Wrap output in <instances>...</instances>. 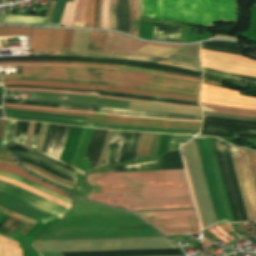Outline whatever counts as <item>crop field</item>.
I'll use <instances>...</instances> for the list:
<instances>
[{
    "label": "crop field",
    "mask_w": 256,
    "mask_h": 256,
    "mask_svg": "<svg viewBox=\"0 0 256 256\" xmlns=\"http://www.w3.org/2000/svg\"><path fill=\"white\" fill-rule=\"evenodd\" d=\"M87 199L129 211L194 207L184 169L99 173Z\"/></svg>",
    "instance_id": "obj_1"
},
{
    "label": "crop field",
    "mask_w": 256,
    "mask_h": 256,
    "mask_svg": "<svg viewBox=\"0 0 256 256\" xmlns=\"http://www.w3.org/2000/svg\"><path fill=\"white\" fill-rule=\"evenodd\" d=\"M23 74L0 75L1 80L24 79L56 82L106 84L140 90L198 97L201 83L104 69L22 66Z\"/></svg>",
    "instance_id": "obj_2"
},
{
    "label": "crop field",
    "mask_w": 256,
    "mask_h": 256,
    "mask_svg": "<svg viewBox=\"0 0 256 256\" xmlns=\"http://www.w3.org/2000/svg\"><path fill=\"white\" fill-rule=\"evenodd\" d=\"M141 17L211 26L238 22L237 0H139Z\"/></svg>",
    "instance_id": "obj_3"
},
{
    "label": "crop field",
    "mask_w": 256,
    "mask_h": 256,
    "mask_svg": "<svg viewBox=\"0 0 256 256\" xmlns=\"http://www.w3.org/2000/svg\"><path fill=\"white\" fill-rule=\"evenodd\" d=\"M40 252L178 248L165 237L35 241Z\"/></svg>",
    "instance_id": "obj_4"
},
{
    "label": "crop field",
    "mask_w": 256,
    "mask_h": 256,
    "mask_svg": "<svg viewBox=\"0 0 256 256\" xmlns=\"http://www.w3.org/2000/svg\"><path fill=\"white\" fill-rule=\"evenodd\" d=\"M7 118L34 120L50 123L69 124L96 127L103 129L113 130H127V131H148V132H164V133H177V134H197L198 130H186V129H164V128H147V127H133L123 125L101 124L95 122H87L88 117L83 116H71L41 112H31L23 110H15L4 108Z\"/></svg>",
    "instance_id": "obj_5"
},
{
    "label": "crop field",
    "mask_w": 256,
    "mask_h": 256,
    "mask_svg": "<svg viewBox=\"0 0 256 256\" xmlns=\"http://www.w3.org/2000/svg\"><path fill=\"white\" fill-rule=\"evenodd\" d=\"M146 45L174 49V50H177L181 46V45H165V44L147 43L140 40H136L127 35H120L114 32H108L104 52L146 55V54H143ZM174 52L175 51L173 50L147 46L144 53L165 56V57H168L167 58L168 60L200 66L199 60L171 55ZM148 56H152V55H148Z\"/></svg>",
    "instance_id": "obj_6"
},
{
    "label": "crop field",
    "mask_w": 256,
    "mask_h": 256,
    "mask_svg": "<svg viewBox=\"0 0 256 256\" xmlns=\"http://www.w3.org/2000/svg\"><path fill=\"white\" fill-rule=\"evenodd\" d=\"M181 148L200 212L203 227L205 228L215 223L216 221L199 162L194 139L181 146Z\"/></svg>",
    "instance_id": "obj_7"
},
{
    "label": "crop field",
    "mask_w": 256,
    "mask_h": 256,
    "mask_svg": "<svg viewBox=\"0 0 256 256\" xmlns=\"http://www.w3.org/2000/svg\"><path fill=\"white\" fill-rule=\"evenodd\" d=\"M229 145V144H228ZM249 220H256V187L246 150L229 145Z\"/></svg>",
    "instance_id": "obj_8"
},
{
    "label": "crop field",
    "mask_w": 256,
    "mask_h": 256,
    "mask_svg": "<svg viewBox=\"0 0 256 256\" xmlns=\"http://www.w3.org/2000/svg\"><path fill=\"white\" fill-rule=\"evenodd\" d=\"M200 60L204 68L256 76V60L203 49L200 50Z\"/></svg>",
    "instance_id": "obj_9"
},
{
    "label": "crop field",
    "mask_w": 256,
    "mask_h": 256,
    "mask_svg": "<svg viewBox=\"0 0 256 256\" xmlns=\"http://www.w3.org/2000/svg\"><path fill=\"white\" fill-rule=\"evenodd\" d=\"M217 221H228L205 137H194Z\"/></svg>",
    "instance_id": "obj_10"
},
{
    "label": "crop field",
    "mask_w": 256,
    "mask_h": 256,
    "mask_svg": "<svg viewBox=\"0 0 256 256\" xmlns=\"http://www.w3.org/2000/svg\"><path fill=\"white\" fill-rule=\"evenodd\" d=\"M0 194L6 197L12 198L14 200H17L29 207H32L45 214L54 216L58 219H61L69 211V209L67 208H64L60 205H57L53 202H50L46 199L36 196L14 185L4 183L1 181H0Z\"/></svg>",
    "instance_id": "obj_11"
},
{
    "label": "crop field",
    "mask_w": 256,
    "mask_h": 256,
    "mask_svg": "<svg viewBox=\"0 0 256 256\" xmlns=\"http://www.w3.org/2000/svg\"><path fill=\"white\" fill-rule=\"evenodd\" d=\"M5 107L43 111V112H52V113H61V114L83 115V116H89L88 121L133 125V126L199 129L201 124V123L167 122V121H157V120H147V119H137V118L114 117V116H104V115L85 114V113L46 111V110H36V109L9 107V106H5Z\"/></svg>",
    "instance_id": "obj_12"
},
{
    "label": "crop field",
    "mask_w": 256,
    "mask_h": 256,
    "mask_svg": "<svg viewBox=\"0 0 256 256\" xmlns=\"http://www.w3.org/2000/svg\"><path fill=\"white\" fill-rule=\"evenodd\" d=\"M200 102L256 109V98L239 96V92L202 84Z\"/></svg>",
    "instance_id": "obj_13"
},
{
    "label": "crop field",
    "mask_w": 256,
    "mask_h": 256,
    "mask_svg": "<svg viewBox=\"0 0 256 256\" xmlns=\"http://www.w3.org/2000/svg\"><path fill=\"white\" fill-rule=\"evenodd\" d=\"M165 235L200 233L196 215L143 217Z\"/></svg>",
    "instance_id": "obj_14"
},
{
    "label": "crop field",
    "mask_w": 256,
    "mask_h": 256,
    "mask_svg": "<svg viewBox=\"0 0 256 256\" xmlns=\"http://www.w3.org/2000/svg\"><path fill=\"white\" fill-rule=\"evenodd\" d=\"M2 82L4 85L25 84V85H34V86H57V87H68V88H78V89L109 90V91H119V92L139 94V95H149V96L165 97V98L180 99V100L198 101V98H195V97L158 93V92H149V91H140V90H133L128 88L113 87V86H97V85H85V84H73V83H55V82H36V81H24V80H6Z\"/></svg>",
    "instance_id": "obj_15"
},
{
    "label": "crop field",
    "mask_w": 256,
    "mask_h": 256,
    "mask_svg": "<svg viewBox=\"0 0 256 256\" xmlns=\"http://www.w3.org/2000/svg\"><path fill=\"white\" fill-rule=\"evenodd\" d=\"M60 55H73V56H86V57H108V58H122V59H129V60H140V61H150L156 62L161 64H166L170 66H175L184 69H190L201 72L200 67L163 60L159 58L153 57H145V56H138V55H126V54H107V53H95V52H78V51H60Z\"/></svg>",
    "instance_id": "obj_16"
},
{
    "label": "crop field",
    "mask_w": 256,
    "mask_h": 256,
    "mask_svg": "<svg viewBox=\"0 0 256 256\" xmlns=\"http://www.w3.org/2000/svg\"><path fill=\"white\" fill-rule=\"evenodd\" d=\"M0 205L8 208V209H11L13 211H16L20 214H23L25 216H28L32 219H35L39 222H46L50 219H52L53 217L51 216H48V215H45L43 213H40L36 210H33L17 201H14V200H11L9 198H6V197H3L0 195Z\"/></svg>",
    "instance_id": "obj_17"
},
{
    "label": "crop field",
    "mask_w": 256,
    "mask_h": 256,
    "mask_svg": "<svg viewBox=\"0 0 256 256\" xmlns=\"http://www.w3.org/2000/svg\"><path fill=\"white\" fill-rule=\"evenodd\" d=\"M53 29L32 28L29 50H49Z\"/></svg>",
    "instance_id": "obj_18"
},
{
    "label": "crop field",
    "mask_w": 256,
    "mask_h": 256,
    "mask_svg": "<svg viewBox=\"0 0 256 256\" xmlns=\"http://www.w3.org/2000/svg\"><path fill=\"white\" fill-rule=\"evenodd\" d=\"M0 171H3V172H7V173H11V174H15V175H19V176H22L38 185H41L45 188H48L56 193H59L61 195H64L66 197H69L71 199H73V197L63 193V191L53 187V186H50L34 177H32L31 175H29L28 173H26L21 167H18V166H14V165H8V164H2L0 163Z\"/></svg>",
    "instance_id": "obj_19"
},
{
    "label": "crop field",
    "mask_w": 256,
    "mask_h": 256,
    "mask_svg": "<svg viewBox=\"0 0 256 256\" xmlns=\"http://www.w3.org/2000/svg\"><path fill=\"white\" fill-rule=\"evenodd\" d=\"M5 90L41 91V92H57V93H69V94L91 95V96H97V98H108V99H117V100H125V101L141 102V103H149V104H158V105H167V106H175V107H184V108L201 109L200 107H194V106H183V105H174V104L147 102V101H139V100H130V99L103 97V96H98L97 93H82V92L60 91V90H47V89H32V88H5Z\"/></svg>",
    "instance_id": "obj_20"
},
{
    "label": "crop field",
    "mask_w": 256,
    "mask_h": 256,
    "mask_svg": "<svg viewBox=\"0 0 256 256\" xmlns=\"http://www.w3.org/2000/svg\"><path fill=\"white\" fill-rule=\"evenodd\" d=\"M200 104L203 108V111H206V112L226 113V114H234V115H240V116L256 117V110L237 109V108L216 106V105L203 104V103H200Z\"/></svg>",
    "instance_id": "obj_21"
},
{
    "label": "crop field",
    "mask_w": 256,
    "mask_h": 256,
    "mask_svg": "<svg viewBox=\"0 0 256 256\" xmlns=\"http://www.w3.org/2000/svg\"><path fill=\"white\" fill-rule=\"evenodd\" d=\"M116 18H117V30L128 32V25H129V1L128 0H118Z\"/></svg>",
    "instance_id": "obj_22"
},
{
    "label": "crop field",
    "mask_w": 256,
    "mask_h": 256,
    "mask_svg": "<svg viewBox=\"0 0 256 256\" xmlns=\"http://www.w3.org/2000/svg\"><path fill=\"white\" fill-rule=\"evenodd\" d=\"M3 105H9V104H3ZM9 106H19V107H28V108H36V109L58 110V111L85 112V113H95V114L114 115V116H125V117H137V118L168 120V121H187V122H201L202 121V120H178V119H167V118H155V117L133 116V115H123V114H115V113L84 111V110H69V109L48 108V107H35V106H22V105H9Z\"/></svg>",
    "instance_id": "obj_23"
},
{
    "label": "crop field",
    "mask_w": 256,
    "mask_h": 256,
    "mask_svg": "<svg viewBox=\"0 0 256 256\" xmlns=\"http://www.w3.org/2000/svg\"><path fill=\"white\" fill-rule=\"evenodd\" d=\"M46 19L35 16L4 15L0 21L14 24L45 25Z\"/></svg>",
    "instance_id": "obj_24"
},
{
    "label": "crop field",
    "mask_w": 256,
    "mask_h": 256,
    "mask_svg": "<svg viewBox=\"0 0 256 256\" xmlns=\"http://www.w3.org/2000/svg\"><path fill=\"white\" fill-rule=\"evenodd\" d=\"M3 63H30V62H3ZM31 63H74V64H86V65H99V66H110V67L127 68V66H122V65L100 64V63H86V62H72V61H31ZM128 68L137 69V70H143V71L156 72V73H162V74H171V75L185 76V77L195 78V79H199V80L202 79V78H199V77L181 75V74H176V73H171V72L155 71V70L133 68V67H128Z\"/></svg>",
    "instance_id": "obj_25"
},
{
    "label": "crop field",
    "mask_w": 256,
    "mask_h": 256,
    "mask_svg": "<svg viewBox=\"0 0 256 256\" xmlns=\"http://www.w3.org/2000/svg\"><path fill=\"white\" fill-rule=\"evenodd\" d=\"M0 256H22L18 243L0 235Z\"/></svg>",
    "instance_id": "obj_26"
},
{
    "label": "crop field",
    "mask_w": 256,
    "mask_h": 256,
    "mask_svg": "<svg viewBox=\"0 0 256 256\" xmlns=\"http://www.w3.org/2000/svg\"><path fill=\"white\" fill-rule=\"evenodd\" d=\"M154 135L141 134L136 152V159L150 158Z\"/></svg>",
    "instance_id": "obj_27"
},
{
    "label": "crop field",
    "mask_w": 256,
    "mask_h": 256,
    "mask_svg": "<svg viewBox=\"0 0 256 256\" xmlns=\"http://www.w3.org/2000/svg\"><path fill=\"white\" fill-rule=\"evenodd\" d=\"M106 33L105 31L91 30L87 51L103 52Z\"/></svg>",
    "instance_id": "obj_28"
},
{
    "label": "crop field",
    "mask_w": 256,
    "mask_h": 256,
    "mask_svg": "<svg viewBox=\"0 0 256 256\" xmlns=\"http://www.w3.org/2000/svg\"><path fill=\"white\" fill-rule=\"evenodd\" d=\"M98 0H89L86 10V27L97 28Z\"/></svg>",
    "instance_id": "obj_29"
},
{
    "label": "crop field",
    "mask_w": 256,
    "mask_h": 256,
    "mask_svg": "<svg viewBox=\"0 0 256 256\" xmlns=\"http://www.w3.org/2000/svg\"><path fill=\"white\" fill-rule=\"evenodd\" d=\"M11 152L14 155H17V156H22V157L31 158V159H35L37 161H40V162L46 164L47 166H49V167H51V168H53V169H55V170H57V171H59L63 174H66V175H69V176H72V177H75V178L77 177V174H75V173H73V172H71L67 169H64V168H62V167L44 159V158L38 157V156L33 155V154H28V153H20V152H13V151H11Z\"/></svg>",
    "instance_id": "obj_30"
},
{
    "label": "crop field",
    "mask_w": 256,
    "mask_h": 256,
    "mask_svg": "<svg viewBox=\"0 0 256 256\" xmlns=\"http://www.w3.org/2000/svg\"><path fill=\"white\" fill-rule=\"evenodd\" d=\"M0 180L6 181V182L11 183V184H14V185H16V186H18V187H21V188H24V189H26V190H29V191H31V192H33V193H35V194H37V195H39V196H41V197H44V198H46V199H49V200H51V201H53V202H56V203H58V204H61V205H63V206H66V207H68V208H71V206H72V205L69 204V203H66V202H64V201L58 200V199L53 198V197H51V196H49V195H46V194H44V193H42V192H40V191H37V190H35V189H33V188H30V187L26 186V185H24V184H22V183H20V182H18V181H15V180H12V179H9V178H5V177H1V176H0Z\"/></svg>",
    "instance_id": "obj_31"
},
{
    "label": "crop field",
    "mask_w": 256,
    "mask_h": 256,
    "mask_svg": "<svg viewBox=\"0 0 256 256\" xmlns=\"http://www.w3.org/2000/svg\"><path fill=\"white\" fill-rule=\"evenodd\" d=\"M0 175H1V176H5V177H9V178H12V179H15V180H18V181H21V182H23V183H25V184H27V185H29V186H31V187L37 189V190H40V191H42V192H44V193H46V194H49V195H51V196H53V197L59 198V199H61V200H64V201H66V202H69V203H71V204L73 203L72 200H70V199H68V198H65V197H63V196H61V195H59V194H56V193H54V192H52V191H50V190H48V189H45V188H43V187H40V186H38V185H36V184H33V183H31V182H29V181H27V180H25V179H23V178H21V177L14 176V175H10V174H6V173H2V172H0Z\"/></svg>",
    "instance_id": "obj_32"
},
{
    "label": "crop field",
    "mask_w": 256,
    "mask_h": 256,
    "mask_svg": "<svg viewBox=\"0 0 256 256\" xmlns=\"http://www.w3.org/2000/svg\"><path fill=\"white\" fill-rule=\"evenodd\" d=\"M87 0H78L72 26L85 27V10Z\"/></svg>",
    "instance_id": "obj_33"
},
{
    "label": "crop field",
    "mask_w": 256,
    "mask_h": 256,
    "mask_svg": "<svg viewBox=\"0 0 256 256\" xmlns=\"http://www.w3.org/2000/svg\"><path fill=\"white\" fill-rule=\"evenodd\" d=\"M7 65H44V64H0V66H7ZM45 65H61V66L91 67V68H104V69L124 70V71H132V72L147 74V75H159V76H166V77H174V78H182V79H188V80H193V81H199V80H194V79H190V78H184V77H178V76H170V75H162V74L149 73V72L136 71V70H128V69L107 68V67H98V66H83V65H64V64H45ZM199 82H201V81H199Z\"/></svg>",
    "instance_id": "obj_34"
},
{
    "label": "crop field",
    "mask_w": 256,
    "mask_h": 256,
    "mask_svg": "<svg viewBox=\"0 0 256 256\" xmlns=\"http://www.w3.org/2000/svg\"><path fill=\"white\" fill-rule=\"evenodd\" d=\"M140 216L196 214L194 209L135 212ZM136 214V215H137Z\"/></svg>",
    "instance_id": "obj_35"
},
{
    "label": "crop field",
    "mask_w": 256,
    "mask_h": 256,
    "mask_svg": "<svg viewBox=\"0 0 256 256\" xmlns=\"http://www.w3.org/2000/svg\"><path fill=\"white\" fill-rule=\"evenodd\" d=\"M31 27H0L1 36L30 35Z\"/></svg>",
    "instance_id": "obj_36"
},
{
    "label": "crop field",
    "mask_w": 256,
    "mask_h": 256,
    "mask_svg": "<svg viewBox=\"0 0 256 256\" xmlns=\"http://www.w3.org/2000/svg\"><path fill=\"white\" fill-rule=\"evenodd\" d=\"M65 29H54L50 50H62Z\"/></svg>",
    "instance_id": "obj_37"
},
{
    "label": "crop field",
    "mask_w": 256,
    "mask_h": 256,
    "mask_svg": "<svg viewBox=\"0 0 256 256\" xmlns=\"http://www.w3.org/2000/svg\"><path fill=\"white\" fill-rule=\"evenodd\" d=\"M66 1L73 2V0H57V4H56L55 11H54L50 25H55V26L60 25V21L62 18Z\"/></svg>",
    "instance_id": "obj_38"
},
{
    "label": "crop field",
    "mask_w": 256,
    "mask_h": 256,
    "mask_svg": "<svg viewBox=\"0 0 256 256\" xmlns=\"http://www.w3.org/2000/svg\"><path fill=\"white\" fill-rule=\"evenodd\" d=\"M213 235L217 236L221 240L225 242H230L234 240L232 237H230L228 234H226L217 224L207 228Z\"/></svg>",
    "instance_id": "obj_39"
},
{
    "label": "crop field",
    "mask_w": 256,
    "mask_h": 256,
    "mask_svg": "<svg viewBox=\"0 0 256 256\" xmlns=\"http://www.w3.org/2000/svg\"><path fill=\"white\" fill-rule=\"evenodd\" d=\"M0 212L5 214V215L14 217V218H16L18 220L25 221V222H27L29 224H32V225H35L37 223L36 221H34L32 219H29V218H27V217H25L23 215H20V214L15 213V212H13L11 210H8V209H6V208H4L2 206H0Z\"/></svg>",
    "instance_id": "obj_40"
},
{
    "label": "crop field",
    "mask_w": 256,
    "mask_h": 256,
    "mask_svg": "<svg viewBox=\"0 0 256 256\" xmlns=\"http://www.w3.org/2000/svg\"><path fill=\"white\" fill-rule=\"evenodd\" d=\"M116 3H117V0H111L110 9H109L110 29H115V30H116V21H115Z\"/></svg>",
    "instance_id": "obj_41"
},
{
    "label": "crop field",
    "mask_w": 256,
    "mask_h": 256,
    "mask_svg": "<svg viewBox=\"0 0 256 256\" xmlns=\"http://www.w3.org/2000/svg\"><path fill=\"white\" fill-rule=\"evenodd\" d=\"M110 0L103 1V8H102V28L109 29L108 25V9H109Z\"/></svg>",
    "instance_id": "obj_42"
},
{
    "label": "crop field",
    "mask_w": 256,
    "mask_h": 256,
    "mask_svg": "<svg viewBox=\"0 0 256 256\" xmlns=\"http://www.w3.org/2000/svg\"><path fill=\"white\" fill-rule=\"evenodd\" d=\"M134 9H135V26H134V35H138L139 24H140V13H139V6L138 0H134Z\"/></svg>",
    "instance_id": "obj_43"
},
{
    "label": "crop field",
    "mask_w": 256,
    "mask_h": 256,
    "mask_svg": "<svg viewBox=\"0 0 256 256\" xmlns=\"http://www.w3.org/2000/svg\"><path fill=\"white\" fill-rule=\"evenodd\" d=\"M74 30L66 29L63 50H70Z\"/></svg>",
    "instance_id": "obj_44"
},
{
    "label": "crop field",
    "mask_w": 256,
    "mask_h": 256,
    "mask_svg": "<svg viewBox=\"0 0 256 256\" xmlns=\"http://www.w3.org/2000/svg\"><path fill=\"white\" fill-rule=\"evenodd\" d=\"M192 136L170 135L169 142L185 143Z\"/></svg>",
    "instance_id": "obj_45"
},
{
    "label": "crop field",
    "mask_w": 256,
    "mask_h": 256,
    "mask_svg": "<svg viewBox=\"0 0 256 256\" xmlns=\"http://www.w3.org/2000/svg\"><path fill=\"white\" fill-rule=\"evenodd\" d=\"M130 1V28L129 34L133 35V25H134V9H133V0Z\"/></svg>",
    "instance_id": "obj_46"
},
{
    "label": "crop field",
    "mask_w": 256,
    "mask_h": 256,
    "mask_svg": "<svg viewBox=\"0 0 256 256\" xmlns=\"http://www.w3.org/2000/svg\"><path fill=\"white\" fill-rule=\"evenodd\" d=\"M249 154H250L253 170H254L255 177H256V152L249 150Z\"/></svg>",
    "instance_id": "obj_47"
},
{
    "label": "crop field",
    "mask_w": 256,
    "mask_h": 256,
    "mask_svg": "<svg viewBox=\"0 0 256 256\" xmlns=\"http://www.w3.org/2000/svg\"><path fill=\"white\" fill-rule=\"evenodd\" d=\"M6 119H0V143L2 144V136L4 132V126H5Z\"/></svg>",
    "instance_id": "obj_48"
},
{
    "label": "crop field",
    "mask_w": 256,
    "mask_h": 256,
    "mask_svg": "<svg viewBox=\"0 0 256 256\" xmlns=\"http://www.w3.org/2000/svg\"><path fill=\"white\" fill-rule=\"evenodd\" d=\"M76 3H77V0H74L73 8H72L71 15H70V18L68 20L67 26H71L73 15H74V11H75V7H76Z\"/></svg>",
    "instance_id": "obj_49"
},
{
    "label": "crop field",
    "mask_w": 256,
    "mask_h": 256,
    "mask_svg": "<svg viewBox=\"0 0 256 256\" xmlns=\"http://www.w3.org/2000/svg\"><path fill=\"white\" fill-rule=\"evenodd\" d=\"M21 163H22V162H21ZM22 164L29 165V166H31V167H33V168H36V169H38V170H41V169H39V168H37V167L31 165V164H27V163H22ZM41 171H43V170H41ZM43 172H45V171H43ZM45 173H47V172H45ZM47 174L50 175V176H52V177H54V178H56V179H58V180L68 182V181H66V180L57 178V177H55V176H53V175H51V174H49V173H47ZM68 183H71V182H68ZM71 184H74V183H71ZM75 185L80 186V185H78V184H75Z\"/></svg>",
    "instance_id": "obj_50"
},
{
    "label": "crop field",
    "mask_w": 256,
    "mask_h": 256,
    "mask_svg": "<svg viewBox=\"0 0 256 256\" xmlns=\"http://www.w3.org/2000/svg\"><path fill=\"white\" fill-rule=\"evenodd\" d=\"M102 1L103 0H99L98 28H101V7H102Z\"/></svg>",
    "instance_id": "obj_51"
},
{
    "label": "crop field",
    "mask_w": 256,
    "mask_h": 256,
    "mask_svg": "<svg viewBox=\"0 0 256 256\" xmlns=\"http://www.w3.org/2000/svg\"><path fill=\"white\" fill-rule=\"evenodd\" d=\"M0 158L14 160L6 151L0 150Z\"/></svg>",
    "instance_id": "obj_52"
},
{
    "label": "crop field",
    "mask_w": 256,
    "mask_h": 256,
    "mask_svg": "<svg viewBox=\"0 0 256 256\" xmlns=\"http://www.w3.org/2000/svg\"><path fill=\"white\" fill-rule=\"evenodd\" d=\"M238 225L240 226V228L242 229V231L248 236L251 237L252 235L250 234V232L247 230V228L244 226L243 223H238Z\"/></svg>",
    "instance_id": "obj_53"
},
{
    "label": "crop field",
    "mask_w": 256,
    "mask_h": 256,
    "mask_svg": "<svg viewBox=\"0 0 256 256\" xmlns=\"http://www.w3.org/2000/svg\"><path fill=\"white\" fill-rule=\"evenodd\" d=\"M31 228H32V226H30V225L27 224V225L24 227V229L20 232V234L26 235L27 232H28Z\"/></svg>",
    "instance_id": "obj_54"
},
{
    "label": "crop field",
    "mask_w": 256,
    "mask_h": 256,
    "mask_svg": "<svg viewBox=\"0 0 256 256\" xmlns=\"http://www.w3.org/2000/svg\"><path fill=\"white\" fill-rule=\"evenodd\" d=\"M219 225L222 226L228 232L232 230L227 224L219 223Z\"/></svg>",
    "instance_id": "obj_55"
},
{
    "label": "crop field",
    "mask_w": 256,
    "mask_h": 256,
    "mask_svg": "<svg viewBox=\"0 0 256 256\" xmlns=\"http://www.w3.org/2000/svg\"><path fill=\"white\" fill-rule=\"evenodd\" d=\"M208 114H214V113H208ZM217 115H223V114H217ZM223 116H229V115H223ZM229 117H238V116H229ZM238 118H247V117H238ZM249 119H256V118H249Z\"/></svg>",
    "instance_id": "obj_56"
},
{
    "label": "crop field",
    "mask_w": 256,
    "mask_h": 256,
    "mask_svg": "<svg viewBox=\"0 0 256 256\" xmlns=\"http://www.w3.org/2000/svg\"><path fill=\"white\" fill-rule=\"evenodd\" d=\"M204 115H208V114H204ZM209 116H215V115H209ZM221 117V116H219ZM228 118V117H226ZM231 119H235V120H243V119H237V118H231ZM244 121H256V120H244Z\"/></svg>",
    "instance_id": "obj_57"
},
{
    "label": "crop field",
    "mask_w": 256,
    "mask_h": 256,
    "mask_svg": "<svg viewBox=\"0 0 256 256\" xmlns=\"http://www.w3.org/2000/svg\"><path fill=\"white\" fill-rule=\"evenodd\" d=\"M0 160H3V159H0ZM3 161H9V162H15L16 163V161H11V160H3Z\"/></svg>",
    "instance_id": "obj_58"
},
{
    "label": "crop field",
    "mask_w": 256,
    "mask_h": 256,
    "mask_svg": "<svg viewBox=\"0 0 256 256\" xmlns=\"http://www.w3.org/2000/svg\"><path fill=\"white\" fill-rule=\"evenodd\" d=\"M0 117H3V114H0Z\"/></svg>",
    "instance_id": "obj_59"
}]
</instances>
